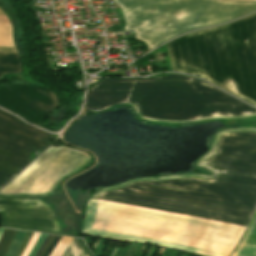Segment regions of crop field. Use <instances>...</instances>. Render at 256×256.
Listing matches in <instances>:
<instances>
[{"label":"crop field","instance_id":"8","mask_svg":"<svg viewBox=\"0 0 256 256\" xmlns=\"http://www.w3.org/2000/svg\"><path fill=\"white\" fill-rule=\"evenodd\" d=\"M32 235H33V232H31L30 236L28 237V239H27V241H26L25 245L23 246V248H22V250L20 251V253H19V255H18V256H20V255L22 254V252L24 251V249H25V247H26V245H27L28 241H29V240H30V238L32 237Z\"/></svg>","mask_w":256,"mask_h":256},{"label":"crop field","instance_id":"9","mask_svg":"<svg viewBox=\"0 0 256 256\" xmlns=\"http://www.w3.org/2000/svg\"><path fill=\"white\" fill-rule=\"evenodd\" d=\"M3 230H4V229H0V236H1L2 232H3Z\"/></svg>","mask_w":256,"mask_h":256},{"label":"crop field","instance_id":"5","mask_svg":"<svg viewBox=\"0 0 256 256\" xmlns=\"http://www.w3.org/2000/svg\"><path fill=\"white\" fill-rule=\"evenodd\" d=\"M61 236H57L54 238V240L52 241V243L50 244V246L48 247V249L46 250V252L44 253L43 256H48L50 254V252L53 250V248L55 247V245L58 243V241L60 240Z\"/></svg>","mask_w":256,"mask_h":256},{"label":"crop field","instance_id":"3","mask_svg":"<svg viewBox=\"0 0 256 256\" xmlns=\"http://www.w3.org/2000/svg\"><path fill=\"white\" fill-rule=\"evenodd\" d=\"M39 236V233H34L32 239L30 240V242L28 243L25 251L23 252V254L21 256H28V254L30 253V251L32 250L37 238Z\"/></svg>","mask_w":256,"mask_h":256},{"label":"crop field","instance_id":"1","mask_svg":"<svg viewBox=\"0 0 256 256\" xmlns=\"http://www.w3.org/2000/svg\"><path fill=\"white\" fill-rule=\"evenodd\" d=\"M78 246L81 248V250L84 252L85 255H84L83 252L78 248ZM66 252H67V254H68L69 256H89V255L86 253V251H85L83 245L80 243V241H79L77 238H73V240H72V242H71V244H70V246H69V248L67 249ZM66 252H64L63 256H68V255L66 254Z\"/></svg>","mask_w":256,"mask_h":256},{"label":"crop field","instance_id":"4","mask_svg":"<svg viewBox=\"0 0 256 256\" xmlns=\"http://www.w3.org/2000/svg\"><path fill=\"white\" fill-rule=\"evenodd\" d=\"M47 234H41L38 241L36 242L33 250L31 251V253L29 254V256H34L37 252V250L39 249V247L41 246L42 242L44 241V239L46 238Z\"/></svg>","mask_w":256,"mask_h":256},{"label":"crop field","instance_id":"2","mask_svg":"<svg viewBox=\"0 0 256 256\" xmlns=\"http://www.w3.org/2000/svg\"><path fill=\"white\" fill-rule=\"evenodd\" d=\"M16 230L5 229L0 239V256H3L15 234Z\"/></svg>","mask_w":256,"mask_h":256},{"label":"crop field","instance_id":"7","mask_svg":"<svg viewBox=\"0 0 256 256\" xmlns=\"http://www.w3.org/2000/svg\"><path fill=\"white\" fill-rule=\"evenodd\" d=\"M54 237H55V235H52V237L50 238L47 245L45 246V248L43 249V251L41 252V254L39 256L43 255V253L45 252V250L47 249V247L49 246V244L51 243V241L53 240Z\"/></svg>","mask_w":256,"mask_h":256},{"label":"crop field","instance_id":"6","mask_svg":"<svg viewBox=\"0 0 256 256\" xmlns=\"http://www.w3.org/2000/svg\"><path fill=\"white\" fill-rule=\"evenodd\" d=\"M50 237H51V235L48 234L47 238L45 239V241L43 242L42 246L40 247L39 251L37 252V254L35 256H38L40 254V252L42 251V249L44 248V246L46 245V243Z\"/></svg>","mask_w":256,"mask_h":256}]
</instances>
